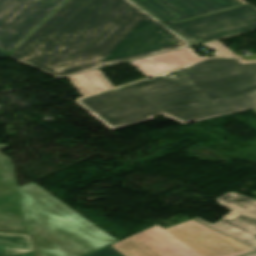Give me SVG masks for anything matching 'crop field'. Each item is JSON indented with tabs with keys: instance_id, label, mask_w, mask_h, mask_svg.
I'll list each match as a JSON object with an SVG mask.
<instances>
[{
	"instance_id": "obj_1",
	"label": "crop field",
	"mask_w": 256,
	"mask_h": 256,
	"mask_svg": "<svg viewBox=\"0 0 256 256\" xmlns=\"http://www.w3.org/2000/svg\"><path fill=\"white\" fill-rule=\"evenodd\" d=\"M186 45L127 0H68L9 56L58 78Z\"/></svg>"
},
{
	"instance_id": "obj_2",
	"label": "crop field",
	"mask_w": 256,
	"mask_h": 256,
	"mask_svg": "<svg viewBox=\"0 0 256 256\" xmlns=\"http://www.w3.org/2000/svg\"><path fill=\"white\" fill-rule=\"evenodd\" d=\"M256 89V62L212 58L75 100L110 129L163 114L182 124L220 116L208 102Z\"/></svg>"
},
{
	"instance_id": "obj_3",
	"label": "crop field",
	"mask_w": 256,
	"mask_h": 256,
	"mask_svg": "<svg viewBox=\"0 0 256 256\" xmlns=\"http://www.w3.org/2000/svg\"><path fill=\"white\" fill-rule=\"evenodd\" d=\"M0 232L30 234L35 256H85L117 242L39 185L18 188L12 160L2 153Z\"/></svg>"
},
{
	"instance_id": "obj_4",
	"label": "crop field",
	"mask_w": 256,
	"mask_h": 256,
	"mask_svg": "<svg viewBox=\"0 0 256 256\" xmlns=\"http://www.w3.org/2000/svg\"><path fill=\"white\" fill-rule=\"evenodd\" d=\"M123 256H236L256 250L194 220L156 225L111 245Z\"/></svg>"
},
{
	"instance_id": "obj_5",
	"label": "crop field",
	"mask_w": 256,
	"mask_h": 256,
	"mask_svg": "<svg viewBox=\"0 0 256 256\" xmlns=\"http://www.w3.org/2000/svg\"><path fill=\"white\" fill-rule=\"evenodd\" d=\"M194 45L256 30V8L242 5L168 25Z\"/></svg>"
},
{
	"instance_id": "obj_6",
	"label": "crop field",
	"mask_w": 256,
	"mask_h": 256,
	"mask_svg": "<svg viewBox=\"0 0 256 256\" xmlns=\"http://www.w3.org/2000/svg\"><path fill=\"white\" fill-rule=\"evenodd\" d=\"M66 0H0V49L12 51Z\"/></svg>"
},
{
	"instance_id": "obj_7",
	"label": "crop field",
	"mask_w": 256,
	"mask_h": 256,
	"mask_svg": "<svg viewBox=\"0 0 256 256\" xmlns=\"http://www.w3.org/2000/svg\"><path fill=\"white\" fill-rule=\"evenodd\" d=\"M216 201L233 212L215 224L193 219L256 248V200L230 192Z\"/></svg>"
},
{
	"instance_id": "obj_8",
	"label": "crop field",
	"mask_w": 256,
	"mask_h": 256,
	"mask_svg": "<svg viewBox=\"0 0 256 256\" xmlns=\"http://www.w3.org/2000/svg\"><path fill=\"white\" fill-rule=\"evenodd\" d=\"M164 24L242 5L238 0H133ZM141 7V8H142Z\"/></svg>"
},
{
	"instance_id": "obj_9",
	"label": "crop field",
	"mask_w": 256,
	"mask_h": 256,
	"mask_svg": "<svg viewBox=\"0 0 256 256\" xmlns=\"http://www.w3.org/2000/svg\"><path fill=\"white\" fill-rule=\"evenodd\" d=\"M190 47L130 62L147 77L206 58H200Z\"/></svg>"
},
{
	"instance_id": "obj_10",
	"label": "crop field",
	"mask_w": 256,
	"mask_h": 256,
	"mask_svg": "<svg viewBox=\"0 0 256 256\" xmlns=\"http://www.w3.org/2000/svg\"><path fill=\"white\" fill-rule=\"evenodd\" d=\"M68 79L82 96L113 88L99 70L69 77Z\"/></svg>"
},
{
	"instance_id": "obj_11",
	"label": "crop field",
	"mask_w": 256,
	"mask_h": 256,
	"mask_svg": "<svg viewBox=\"0 0 256 256\" xmlns=\"http://www.w3.org/2000/svg\"><path fill=\"white\" fill-rule=\"evenodd\" d=\"M32 251L29 235L0 233V256H13Z\"/></svg>"
},
{
	"instance_id": "obj_12",
	"label": "crop field",
	"mask_w": 256,
	"mask_h": 256,
	"mask_svg": "<svg viewBox=\"0 0 256 256\" xmlns=\"http://www.w3.org/2000/svg\"><path fill=\"white\" fill-rule=\"evenodd\" d=\"M210 104L222 114L256 107V90H252L248 94L211 102Z\"/></svg>"
},
{
	"instance_id": "obj_13",
	"label": "crop field",
	"mask_w": 256,
	"mask_h": 256,
	"mask_svg": "<svg viewBox=\"0 0 256 256\" xmlns=\"http://www.w3.org/2000/svg\"><path fill=\"white\" fill-rule=\"evenodd\" d=\"M204 45H207L210 48H212L213 50H215L216 53H214V55H216V56L236 55V54H234L232 51H230L228 48H226L224 45H222L218 41H213V42L205 43Z\"/></svg>"
},
{
	"instance_id": "obj_14",
	"label": "crop field",
	"mask_w": 256,
	"mask_h": 256,
	"mask_svg": "<svg viewBox=\"0 0 256 256\" xmlns=\"http://www.w3.org/2000/svg\"><path fill=\"white\" fill-rule=\"evenodd\" d=\"M89 256H121V255H119L117 252H115L111 248L107 247Z\"/></svg>"
},
{
	"instance_id": "obj_15",
	"label": "crop field",
	"mask_w": 256,
	"mask_h": 256,
	"mask_svg": "<svg viewBox=\"0 0 256 256\" xmlns=\"http://www.w3.org/2000/svg\"><path fill=\"white\" fill-rule=\"evenodd\" d=\"M7 57L3 52L0 51V58H5Z\"/></svg>"
},
{
	"instance_id": "obj_16",
	"label": "crop field",
	"mask_w": 256,
	"mask_h": 256,
	"mask_svg": "<svg viewBox=\"0 0 256 256\" xmlns=\"http://www.w3.org/2000/svg\"><path fill=\"white\" fill-rule=\"evenodd\" d=\"M245 256H256V252H255V253L248 254V255H245Z\"/></svg>"
},
{
	"instance_id": "obj_17",
	"label": "crop field",
	"mask_w": 256,
	"mask_h": 256,
	"mask_svg": "<svg viewBox=\"0 0 256 256\" xmlns=\"http://www.w3.org/2000/svg\"><path fill=\"white\" fill-rule=\"evenodd\" d=\"M21 256H33L32 253L30 254H25V255H21Z\"/></svg>"
},
{
	"instance_id": "obj_18",
	"label": "crop field",
	"mask_w": 256,
	"mask_h": 256,
	"mask_svg": "<svg viewBox=\"0 0 256 256\" xmlns=\"http://www.w3.org/2000/svg\"><path fill=\"white\" fill-rule=\"evenodd\" d=\"M242 3H244V4H247V2L245 1V0H240Z\"/></svg>"
},
{
	"instance_id": "obj_19",
	"label": "crop field",
	"mask_w": 256,
	"mask_h": 256,
	"mask_svg": "<svg viewBox=\"0 0 256 256\" xmlns=\"http://www.w3.org/2000/svg\"><path fill=\"white\" fill-rule=\"evenodd\" d=\"M256 111V108H253Z\"/></svg>"
}]
</instances>
